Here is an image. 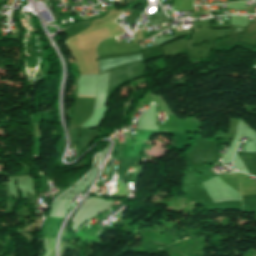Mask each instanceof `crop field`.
<instances>
[{"mask_svg":"<svg viewBox=\"0 0 256 256\" xmlns=\"http://www.w3.org/2000/svg\"><path fill=\"white\" fill-rule=\"evenodd\" d=\"M139 59H140L139 55H133V56L114 58V59L100 60L99 61L100 73L103 71L109 70L111 68H114L123 64H127Z\"/></svg>","mask_w":256,"mask_h":256,"instance_id":"1","label":"crop field"},{"mask_svg":"<svg viewBox=\"0 0 256 256\" xmlns=\"http://www.w3.org/2000/svg\"><path fill=\"white\" fill-rule=\"evenodd\" d=\"M78 97H86V96H78Z\"/></svg>","mask_w":256,"mask_h":256,"instance_id":"2","label":"crop field"}]
</instances>
